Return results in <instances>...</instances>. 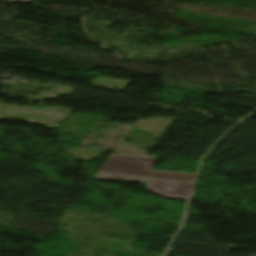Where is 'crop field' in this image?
<instances>
[{"label": "crop field", "mask_w": 256, "mask_h": 256, "mask_svg": "<svg viewBox=\"0 0 256 256\" xmlns=\"http://www.w3.org/2000/svg\"><path fill=\"white\" fill-rule=\"evenodd\" d=\"M157 157L113 154L98 173L188 180L194 181L197 174L152 170Z\"/></svg>", "instance_id": "obj_1"}, {"label": "crop field", "mask_w": 256, "mask_h": 256, "mask_svg": "<svg viewBox=\"0 0 256 256\" xmlns=\"http://www.w3.org/2000/svg\"><path fill=\"white\" fill-rule=\"evenodd\" d=\"M94 178L136 183H149L147 190L161 196L189 201L194 183L96 174Z\"/></svg>", "instance_id": "obj_2"}]
</instances>
